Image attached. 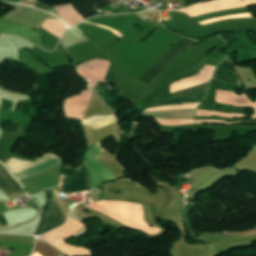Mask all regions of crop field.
Returning <instances> with one entry per match:
<instances>
[{
  "label": "crop field",
  "mask_w": 256,
  "mask_h": 256,
  "mask_svg": "<svg viewBox=\"0 0 256 256\" xmlns=\"http://www.w3.org/2000/svg\"><path fill=\"white\" fill-rule=\"evenodd\" d=\"M13 159V158H12ZM62 160L56 155L48 154L35 163L19 159L10 160L5 165L19 181L57 174Z\"/></svg>",
  "instance_id": "8a807250"
},
{
  "label": "crop field",
  "mask_w": 256,
  "mask_h": 256,
  "mask_svg": "<svg viewBox=\"0 0 256 256\" xmlns=\"http://www.w3.org/2000/svg\"><path fill=\"white\" fill-rule=\"evenodd\" d=\"M72 3L74 8L85 18L94 16L92 12L88 9L89 7H94L99 10L103 6L110 3V0H38L34 6L44 9L53 13L54 15L58 14L55 12L53 6H59L62 4Z\"/></svg>",
  "instance_id": "ac0d7876"
},
{
  "label": "crop field",
  "mask_w": 256,
  "mask_h": 256,
  "mask_svg": "<svg viewBox=\"0 0 256 256\" xmlns=\"http://www.w3.org/2000/svg\"><path fill=\"white\" fill-rule=\"evenodd\" d=\"M103 151L101 145L97 144L88 152L84 162L91 173L90 191L96 189L102 183L116 180L98 160Z\"/></svg>",
  "instance_id": "34b2d1b8"
},
{
  "label": "crop field",
  "mask_w": 256,
  "mask_h": 256,
  "mask_svg": "<svg viewBox=\"0 0 256 256\" xmlns=\"http://www.w3.org/2000/svg\"><path fill=\"white\" fill-rule=\"evenodd\" d=\"M86 170L82 164L79 171ZM61 171L76 172L70 168V166H62ZM89 173L88 171L79 173L60 172L57 186L64 187V193H78L83 191H89Z\"/></svg>",
  "instance_id": "412701ff"
},
{
  "label": "crop field",
  "mask_w": 256,
  "mask_h": 256,
  "mask_svg": "<svg viewBox=\"0 0 256 256\" xmlns=\"http://www.w3.org/2000/svg\"><path fill=\"white\" fill-rule=\"evenodd\" d=\"M209 82L194 88L155 98L156 105L157 107H160L180 103L200 102L207 92Z\"/></svg>",
  "instance_id": "f4fd0767"
},
{
  "label": "crop field",
  "mask_w": 256,
  "mask_h": 256,
  "mask_svg": "<svg viewBox=\"0 0 256 256\" xmlns=\"http://www.w3.org/2000/svg\"><path fill=\"white\" fill-rule=\"evenodd\" d=\"M193 40L184 38L175 47L170 49L168 53L163 55L155 65L141 78L139 81L149 86L160 74V72L173 60V58L186 48Z\"/></svg>",
  "instance_id": "dd49c442"
},
{
  "label": "crop field",
  "mask_w": 256,
  "mask_h": 256,
  "mask_svg": "<svg viewBox=\"0 0 256 256\" xmlns=\"http://www.w3.org/2000/svg\"><path fill=\"white\" fill-rule=\"evenodd\" d=\"M66 219L58 210L53 202H49L48 206L42 213V218L36 235H42L65 223Z\"/></svg>",
  "instance_id": "e52e79f7"
},
{
  "label": "crop field",
  "mask_w": 256,
  "mask_h": 256,
  "mask_svg": "<svg viewBox=\"0 0 256 256\" xmlns=\"http://www.w3.org/2000/svg\"><path fill=\"white\" fill-rule=\"evenodd\" d=\"M0 189L5 191L12 199L23 196V190L18 181L13 178L6 167L0 163ZM24 195L25 192H24Z\"/></svg>",
  "instance_id": "d8731c3e"
},
{
  "label": "crop field",
  "mask_w": 256,
  "mask_h": 256,
  "mask_svg": "<svg viewBox=\"0 0 256 256\" xmlns=\"http://www.w3.org/2000/svg\"><path fill=\"white\" fill-rule=\"evenodd\" d=\"M214 79L229 84H241L238 77L232 69V64L227 58L219 67L218 71L215 72Z\"/></svg>",
  "instance_id": "5a996713"
},
{
  "label": "crop field",
  "mask_w": 256,
  "mask_h": 256,
  "mask_svg": "<svg viewBox=\"0 0 256 256\" xmlns=\"http://www.w3.org/2000/svg\"><path fill=\"white\" fill-rule=\"evenodd\" d=\"M116 121L117 120L114 115L108 116V117L94 116L92 118H89V119L83 121V124L97 130V129L107 126L111 123H114Z\"/></svg>",
  "instance_id": "3316defc"
},
{
  "label": "crop field",
  "mask_w": 256,
  "mask_h": 256,
  "mask_svg": "<svg viewBox=\"0 0 256 256\" xmlns=\"http://www.w3.org/2000/svg\"><path fill=\"white\" fill-rule=\"evenodd\" d=\"M202 1H206V0H184L186 6H191V5H194V4H197L199 2H202Z\"/></svg>",
  "instance_id": "28ad6ade"
}]
</instances>
